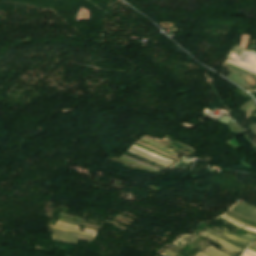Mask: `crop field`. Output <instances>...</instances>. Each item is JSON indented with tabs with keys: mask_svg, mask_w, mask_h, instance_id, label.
<instances>
[{
	"mask_svg": "<svg viewBox=\"0 0 256 256\" xmlns=\"http://www.w3.org/2000/svg\"><path fill=\"white\" fill-rule=\"evenodd\" d=\"M55 239L57 240H62V241H67V242H72L74 243V239L72 238H68V237H62V236H56L54 235Z\"/></svg>",
	"mask_w": 256,
	"mask_h": 256,
	"instance_id": "13",
	"label": "crop field"
},
{
	"mask_svg": "<svg viewBox=\"0 0 256 256\" xmlns=\"http://www.w3.org/2000/svg\"><path fill=\"white\" fill-rule=\"evenodd\" d=\"M120 159H124V160H127V161H130V162H133V163H136V162H134V161H131V160H129V159H126V158H124V157H121L120 156ZM136 164H139V163H136ZM139 165H141V164H139ZM142 166H144V165H142ZM146 167V166H145ZM149 168V167H148ZM152 169V168H151ZM155 170V169H154ZM158 171V170H157Z\"/></svg>",
	"mask_w": 256,
	"mask_h": 256,
	"instance_id": "21",
	"label": "crop field"
},
{
	"mask_svg": "<svg viewBox=\"0 0 256 256\" xmlns=\"http://www.w3.org/2000/svg\"><path fill=\"white\" fill-rule=\"evenodd\" d=\"M140 139L143 140V141H146V142H148V143H151V144H153V145H156V146H158V147H160V148H162V149H164V150H166V151H168V152H170V153H172V154H174V155L177 156L176 153L172 152V151H175V150H173V149H171V148H169V147H167V146H165V145H163V144H160V143H158V142L152 141V140L147 139V138H145V137H142V138H140ZM170 150H172V151H170ZM175 152H177V151H175ZM177 153H178V152H177Z\"/></svg>",
	"mask_w": 256,
	"mask_h": 256,
	"instance_id": "4",
	"label": "crop field"
},
{
	"mask_svg": "<svg viewBox=\"0 0 256 256\" xmlns=\"http://www.w3.org/2000/svg\"><path fill=\"white\" fill-rule=\"evenodd\" d=\"M247 250H248V249H247ZM249 251H250V250H249ZM247 252H248V251H247ZM251 252H252V251H251ZM251 252H249V253H251ZM253 253H254V252H253ZM253 253H251V254H253ZM255 254H256V253H255ZM255 254H254V255H255Z\"/></svg>",
	"mask_w": 256,
	"mask_h": 256,
	"instance_id": "32",
	"label": "crop field"
},
{
	"mask_svg": "<svg viewBox=\"0 0 256 256\" xmlns=\"http://www.w3.org/2000/svg\"><path fill=\"white\" fill-rule=\"evenodd\" d=\"M122 156H124V157H126V158H129V159H131V160H134V161H136V162H139V163H141V164H144V163H142V162H140V161H137V160L132 159V158H130V157H127V156H125V155H122ZM144 165L149 166V165H147V164H144ZM149 167H152V166H149ZM152 168H154V167H152ZM155 169H157V168H155ZM158 170H159V169H158Z\"/></svg>",
	"mask_w": 256,
	"mask_h": 256,
	"instance_id": "19",
	"label": "crop field"
},
{
	"mask_svg": "<svg viewBox=\"0 0 256 256\" xmlns=\"http://www.w3.org/2000/svg\"><path fill=\"white\" fill-rule=\"evenodd\" d=\"M225 63H226V62H225ZM225 65H227V68H230V69H232V70L239 71V72L245 73V74H247V75H250V74H251V75H253V76L256 77L255 74H252V73H249V72H247V71H244V70H242V69H240V68L234 67V66H232V65H230V64H228V63H226Z\"/></svg>",
	"mask_w": 256,
	"mask_h": 256,
	"instance_id": "10",
	"label": "crop field"
},
{
	"mask_svg": "<svg viewBox=\"0 0 256 256\" xmlns=\"http://www.w3.org/2000/svg\"><path fill=\"white\" fill-rule=\"evenodd\" d=\"M213 228H215V227H213ZM215 229L219 230V231L222 232L223 234H225V235H227V236H229V237H231V238H233V239H235V240H237V241L244 242V243H248V244L251 243V242H249V241L242 240V239H238V238H235V237H233V236H230V235H228L227 233H225L224 231H222V230H220V229H218V228H215Z\"/></svg>",
	"mask_w": 256,
	"mask_h": 256,
	"instance_id": "14",
	"label": "crop field"
},
{
	"mask_svg": "<svg viewBox=\"0 0 256 256\" xmlns=\"http://www.w3.org/2000/svg\"><path fill=\"white\" fill-rule=\"evenodd\" d=\"M202 233H204V234L210 236L211 238H213V239H215V240H217V241H219V242H221V243H224V242H222V241L216 239L215 237L211 236L210 234H208V233H206V232H202ZM204 234H201V236H204V237H207V238L211 239L210 237H208V236H206V235H204ZM213 239H212V240H213ZM215 240H214V241H215ZM217 241H215V242L218 243V244H220V245H222L223 247H225V248H227V249L233 250V251H235V252H237V253H238L239 251H242V250H240V249H238V248H236V247L231 246V247H233V248H235V249H237V250H239V251L234 250V249H232V248L226 246V245H228V244L224 243V244H226V245H224V244H221V243H219V242H217ZM229 246H230V245H229Z\"/></svg>",
	"mask_w": 256,
	"mask_h": 256,
	"instance_id": "5",
	"label": "crop field"
},
{
	"mask_svg": "<svg viewBox=\"0 0 256 256\" xmlns=\"http://www.w3.org/2000/svg\"><path fill=\"white\" fill-rule=\"evenodd\" d=\"M226 62H228V63H230V64H232V65H235V66H237V67H240V68H242V69H245V70H247V71H249V72H252V73H255L256 74V71L255 70H253V69H251V68H248V67H246V66H243V65H241V64H239V63H236V62H234V61H232V60H227Z\"/></svg>",
	"mask_w": 256,
	"mask_h": 256,
	"instance_id": "9",
	"label": "crop field"
},
{
	"mask_svg": "<svg viewBox=\"0 0 256 256\" xmlns=\"http://www.w3.org/2000/svg\"><path fill=\"white\" fill-rule=\"evenodd\" d=\"M131 149H133V150H135V151H137V152H139V153H141V154H143V155H145V156H148V157H150V158H153V159H156V160H158V161H161V162H163V163H165V164H167V165H170V163H168V162H165V161H162V160H160V159H157V158H155V157H153V156H151V155H149V154H146V153H144V152H142V151H140V150H138V149H135V148H133V147H131ZM129 150V151H131V152H133V153H135V154H137V155H140V156H142V157H145V156H143V155H141V154H139V153H137V152H135V151H133V150ZM148 157H145V158H147V159H150V158H148ZM153 159H150V160H152V161H154V162H157V163H159V164H162V165H164V166H167V165H165V164H163V163H161V162H158V161H156V160H153Z\"/></svg>",
	"mask_w": 256,
	"mask_h": 256,
	"instance_id": "3",
	"label": "crop field"
},
{
	"mask_svg": "<svg viewBox=\"0 0 256 256\" xmlns=\"http://www.w3.org/2000/svg\"><path fill=\"white\" fill-rule=\"evenodd\" d=\"M225 215H227V214H225ZM227 216H229V215H227ZM229 217H231V216H229ZM231 218H233V219H235V220H237V221H239V222H241V223H243V224H246V223H244V222H242V221H240V220H238V219H236V218H234V217H231ZM247 226H249V227H252V226H250V225H248V224H246ZM253 228H256V227H253Z\"/></svg>",
	"mask_w": 256,
	"mask_h": 256,
	"instance_id": "22",
	"label": "crop field"
},
{
	"mask_svg": "<svg viewBox=\"0 0 256 256\" xmlns=\"http://www.w3.org/2000/svg\"><path fill=\"white\" fill-rule=\"evenodd\" d=\"M175 244H176V245H179V246H181V247H183V245H181V244H179V243H177V242H175Z\"/></svg>",
	"mask_w": 256,
	"mask_h": 256,
	"instance_id": "27",
	"label": "crop field"
},
{
	"mask_svg": "<svg viewBox=\"0 0 256 256\" xmlns=\"http://www.w3.org/2000/svg\"><path fill=\"white\" fill-rule=\"evenodd\" d=\"M249 249H251V250H253V251H255V252H256V249H255V248L249 247Z\"/></svg>",
	"mask_w": 256,
	"mask_h": 256,
	"instance_id": "25",
	"label": "crop field"
},
{
	"mask_svg": "<svg viewBox=\"0 0 256 256\" xmlns=\"http://www.w3.org/2000/svg\"><path fill=\"white\" fill-rule=\"evenodd\" d=\"M207 230H209V231H211V232H213V233L219 235V236L222 237V238L228 239V240H230V241H232V242H234V243H236V244H239V245H241V246H244V247H246V248H247V246H248V244H244V243L237 242V241H235V240H233V239H230V238H228V237H226V236H224V235L218 233V232L215 231V230H212V229H209V228H207Z\"/></svg>",
	"mask_w": 256,
	"mask_h": 256,
	"instance_id": "8",
	"label": "crop field"
},
{
	"mask_svg": "<svg viewBox=\"0 0 256 256\" xmlns=\"http://www.w3.org/2000/svg\"><path fill=\"white\" fill-rule=\"evenodd\" d=\"M224 229V228H223ZM225 231H227L228 233H230V234H232V235H235V234H233V233H231V232H229L228 230H226V229H224ZM235 236H237V235H235ZM237 237H239V238H243V237H246V238H251V239H255V238H253V237H249V236H245V235H243V237H241V236H237ZM246 238H243V239H246ZM247 240H250V239H247ZM252 241V240H251Z\"/></svg>",
	"mask_w": 256,
	"mask_h": 256,
	"instance_id": "18",
	"label": "crop field"
},
{
	"mask_svg": "<svg viewBox=\"0 0 256 256\" xmlns=\"http://www.w3.org/2000/svg\"><path fill=\"white\" fill-rule=\"evenodd\" d=\"M255 243H256V242H255ZM252 246H253V247H256V244H253Z\"/></svg>",
	"mask_w": 256,
	"mask_h": 256,
	"instance_id": "31",
	"label": "crop field"
},
{
	"mask_svg": "<svg viewBox=\"0 0 256 256\" xmlns=\"http://www.w3.org/2000/svg\"><path fill=\"white\" fill-rule=\"evenodd\" d=\"M50 227H55V228H59V229H63V230H69V231H74V232H79L77 231L78 227L77 225H73V224H68V223H64V222H60L57 221L55 226L49 225ZM82 233V232H79ZM96 233L95 230H91V229H85V232L83 234H87V235H91L94 236V234Z\"/></svg>",
	"mask_w": 256,
	"mask_h": 256,
	"instance_id": "1",
	"label": "crop field"
},
{
	"mask_svg": "<svg viewBox=\"0 0 256 256\" xmlns=\"http://www.w3.org/2000/svg\"><path fill=\"white\" fill-rule=\"evenodd\" d=\"M168 249L178 254L179 250L182 249V248L173 246V247H169ZM162 255H164V256H176V254H174V253H172V252H170L168 250H165L162 253Z\"/></svg>",
	"mask_w": 256,
	"mask_h": 256,
	"instance_id": "7",
	"label": "crop field"
},
{
	"mask_svg": "<svg viewBox=\"0 0 256 256\" xmlns=\"http://www.w3.org/2000/svg\"><path fill=\"white\" fill-rule=\"evenodd\" d=\"M195 235H192L190 238H188L189 237V235H186V236H184L181 240H185V239H187L185 242H187V241H189L192 237H194Z\"/></svg>",
	"mask_w": 256,
	"mask_h": 256,
	"instance_id": "20",
	"label": "crop field"
},
{
	"mask_svg": "<svg viewBox=\"0 0 256 256\" xmlns=\"http://www.w3.org/2000/svg\"><path fill=\"white\" fill-rule=\"evenodd\" d=\"M221 217L224 218V219H226V220H228L229 222H231V223H233V224L239 226V227L244 226V225H242V224H240V223H238V222H236V221H234V220H232V219H230V218H228V217H226V216H224V215H222Z\"/></svg>",
	"mask_w": 256,
	"mask_h": 256,
	"instance_id": "16",
	"label": "crop field"
},
{
	"mask_svg": "<svg viewBox=\"0 0 256 256\" xmlns=\"http://www.w3.org/2000/svg\"><path fill=\"white\" fill-rule=\"evenodd\" d=\"M202 253H204L205 255H207V256H211V255H209V254H207V253H205L204 251H201Z\"/></svg>",
	"mask_w": 256,
	"mask_h": 256,
	"instance_id": "26",
	"label": "crop field"
},
{
	"mask_svg": "<svg viewBox=\"0 0 256 256\" xmlns=\"http://www.w3.org/2000/svg\"><path fill=\"white\" fill-rule=\"evenodd\" d=\"M245 229H246V230H249V231L256 232V230H254V229H250V228H247V227H245Z\"/></svg>",
	"mask_w": 256,
	"mask_h": 256,
	"instance_id": "23",
	"label": "crop field"
},
{
	"mask_svg": "<svg viewBox=\"0 0 256 256\" xmlns=\"http://www.w3.org/2000/svg\"><path fill=\"white\" fill-rule=\"evenodd\" d=\"M236 204H238V205H240V206H242V207H244V208H246V209H249V210H252V211L256 212V210L247 208V207H245V206H243V205H241V204H239V203H237V202H236ZM236 204H234V206H237V207H239V208H242V207H240V206H238V205H236ZM234 206H232L231 210H233V211H235V212H237V213H239V214H241V215H244V216H246V217H248V218H250V219L256 221V215H254V214H256V213L247 210V211H249V212H251V213H254V214H251V213L245 211L246 209H245V210H242V209H244V208L239 209V208L234 207Z\"/></svg>",
	"mask_w": 256,
	"mask_h": 256,
	"instance_id": "2",
	"label": "crop field"
},
{
	"mask_svg": "<svg viewBox=\"0 0 256 256\" xmlns=\"http://www.w3.org/2000/svg\"><path fill=\"white\" fill-rule=\"evenodd\" d=\"M204 251H206L207 253H209V254H211V255H213V256H228V255H226V254H224V253H222L221 251H219V250H217V249H215V248H213V247H208L206 250H204Z\"/></svg>",
	"mask_w": 256,
	"mask_h": 256,
	"instance_id": "6",
	"label": "crop field"
},
{
	"mask_svg": "<svg viewBox=\"0 0 256 256\" xmlns=\"http://www.w3.org/2000/svg\"><path fill=\"white\" fill-rule=\"evenodd\" d=\"M256 110V106L255 104L253 103L248 109L245 110V115H246V118L247 120L249 119V117L251 116V112L255 111Z\"/></svg>",
	"mask_w": 256,
	"mask_h": 256,
	"instance_id": "11",
	"label": "crop field"
},
{
	"mask_svg": "<svg viewBox=\"0 0 256 256\" xmlns=\"http://www.w3.org/2000/svg\"><path fill=\"white\" fill-rule=\"evenodd\" d=\"M189 246L194 247V246H192V245H190V244H189ZM195 248H196V247H195Z\"/></svg>",
	"mask_w": 256,
	"mask_h": 256,
	"instance_id": "33",
	"label": "crop field"
},
{
	"mask_svg": "<svg viewBox=\"0 0 256 256\" xmlns=\"http://www.w3.org/2000/svg\"><path fill=\"white\" fill-rule=\"evenodd\" d=\"M195 256H205V255H203L202 253H198L197 255H195Z\"/></svg>",
	"mask_w": 256,
	"mask_h": 256,
	"instance_id": "24",
	"label": "crop field"
},
{
	"mask_svg": "<svg viewBox=\"0 0 256 256\" xmlns=\"http://www.w3.org/2000/svg\"><path fill=\"white\" fill-rule=\"evenodd\" d=\"M133 147L138 148V149H140V150H142V151H144V152H147V153H149V154H151V155H153V156H155V157H158V158H160V159H163V160H166V161H168V162L173 163L172 161H169V160H167V159L161 158L162 156L159 157V156L155 155L154 153H152V152H150V151L144 150V149L139 148V147H137V146H135V145H133Z\"/></svg>",
	"mask_w": 256,
	"mask_h": 256,
	"instance_id": "15",
	"label": "crop field"
},
{
	"mask_svg": "<svg viewBox=\"0 0 256 256\" xmlns=\"http://www.w3.org/2000/svg\"><path fill=\"white\" fill-rule=\"evenodd\" d=\"M201 243H203V241H201V240H199L197 238H195L194 240L191 241V244H193V245H195L197 247H199Z\"/></svg>",
	"mask_w": 256,
	"mask_h": 256,
	"instance_id": "17",
	"label": "crop field"
},
{
	"mask_svg": "<svg viewBox=\"0 0 256 256\" xmlns=\"http://www.w3.org/2000/svg\"><path fill=\"white\" fill-rule=\"evenodd\" d=\"M136 144H139V143L136 142ZM139 145H141V144H139ZM141 146H143V145H141ZM144 147H145V146H144ZM147 148H148V147H147ZM149 149H150V148H149ZM151 150H152V149H151ZM164 156H165V155H164Z\"/></svg>",
	"mask_w": 256,
	"mask_h": 256,
	"instance_id": "30",
	"label": "crop field"
},
{
	"mask_svg": "<svg viewBox=\"0 0 256 256\" xmlns=\"http://www.w3.org/2000/svg\"><path fill=\"white\" fill-rule=\"evenodd\" d=\"M208 233H209V232H208ZM210 234H211V233H210ZM212 235H213V234H212ZM214 235H215V234H214ZM214 235H213V236H214ZM215 237H216V236H215ZM217 238H218V237H217ZM219 239H220V238H219ZM221 240H222V239H221ZM224 240H225V239H224ZM224 240H223V241H224ZM225 242H226V241H225ZM227 243H228V242H227ZM229 244H230V243H229ZM231 245H232V244H231ZM233 246H234V245H233ZM236 247H237V246H236Z\"/></svg>",
	"mask_w": 256,
	"mask_h": 256,
	"instance_id": "28",
	"label": "crop field"
},
{
	"mask_svg": "<svg viewBox=\"0 0 256 256\" xmlns=\"http://www.w3.org/2000/svg\"><path fill=\"white\" fill-rule=\"evenodd\" d=\"M230 76H232V77H234V78H236V79H238V80H240V81H242V82H244L242 79H240L237 75H235V74H232V73H230ZM226 78H228V79H230V80H232V81H234V82H236V83H238V84H241V85H245V84H243V83H241V82H239V81H237V80H235V79H233V78H231V77H226ZM245 83V82H244ZM247 84V83H246ZM245 86H247V85H245Z\"/></svg>",
	"mask_w": 256,
	"mask_h": 256,
	"instance_id": "12",
	"label": "crop field"
},
{
	"mask_svg": "<svg viewBox=\"0 0 256 256\" xmlns=\"http://www.w3.org/2000/svg\"><path fill=\"white\" fill-rule=\"evenodd\" d=\"M245 254H246V253H245ZM245 254H242L241 256H247V255H248V254H247V255H245ZM249 256H251V255H249Z\"/></svg>",
	"mask_w": 256,
	"mask_h": 256,
	"instance_id": "29",
	"label": "crop field"
}]
</instances>
